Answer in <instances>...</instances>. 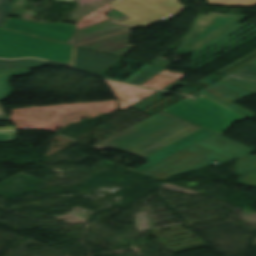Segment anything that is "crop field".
<instances>
[{
  "label": "crop field",
  "mask_w": 256,
  "mask_h": 256,
  "mask_svg": "<svg viewBox=\"0 0 256 256\" xmlns=\"http://www.w3.org/2000/svg\"><path fill=\"white\" fill-rule=\"evenodd\" d=\"M224 79L256 93V75L236 72Z\"/></svg>",
  "instance_id": "obj_17"
},
{
  "label": "crop field",
  "mask_w": 256,
  "mask_h": 256,
  "mask_svg": "<svg viewBox=\"0 0 256 256\" xmlns=\"http://www.w3.org/2000/svg\"><path fill=\"white\" fill-rule=\"evenodd\" d=\"M112 7L132 18L120 23L141 27L175 16L185 8L177 0H114Z\"/></svg>",
  "instance_id": "obj_7"
},
{
  "label": "crop field",
  "mask_w": 256,
  "mask_h": 256,
  "mask_svg": "<svg viewBox=\"0 0 256 256\" xmlns=\"http://www.w3.org/2000/svg\"><path fill=\"white\" fill-rule=\"evenodd\" d=\"M246 17L248 16L231 13H210L209 16L198 14L190 32L184 35L177 52L163 53L151 64L166 67L171 62L160 59L164 54L179 53L186 56Z\"/></svg>",
  "instance_id": "obj_5"
},
{
  "label": "crop field",
  "mask_w": 256,
  "mask_h": 256,
  "mask_svg": "<svg viewBox=\"0 0 256 256\" xmlns=\"http://www.w3.org/2000/svg\"><path fill=\"white\" fill-rule=\"evenodd\" d=\"M182 123L184 121L160 111L93 147L101 151L110 147L128 152Z\"/></svg>",
  "instance_id": "obj_4"
},
{
  "label": "crop field",
  "mask_w": 256,
  "mask_h": 256,
  "mask_svg": "<svg viewBox=\"0 0 256 256\" xmlns=\"http://www.w3.org/2000/svg\"><path fill=\"white\" fill-rule=\"evenodd\" d=\"M30 73L29 69L0 70V101L7 99L12 93L9 79L15 75Z\"/></svg>",
  "instance_id": "obj_16"
},
{
  "label": "crop field",
  "mask_w": 256,
  "mask_h": 256,
  "mask_svg": "<svg viewBox=\"0 0 256 256\" xmlns=\"http://www.w3.org/2000/svg\"><path fill=\"white\" fill-rule=\"evenodd\" d=\"M12 1L13 0H0V27L13 8L11 4Z\"/></svg>",
  "instance_id": "obj_21"
},
{
  "label": "crop field",
  "mask_w": 256,
  "mask_h": 256,
  "mask_svg": "<svg viewBox=\"0 0 256 256\" xmlns=\"http://www.w3.org/2000/svg\"><path fill=\"white\" fill-rule=\"evenodd\" d=\"M213 133L201 128L193 133H191L190 135L180 139L179 141L167 146L166 151H164V149L156 152L155 154L145 158L147 159L148 163L135 169L136 171L140 172L160 161H162L163 159L187 148L188 146L208 137L209 135H211Z\"/></svg>",
  "instance_id": "obj_11"
},
{
  "label": "crop field",
  "mask_w": 256,
  "mask_h": 256,
  "mask_svg": "<svg viewBox=\"0 0 256 256\" xmlns=\"http://www.w3.org/2000/svg\"><path fill=\"white\" fill-rule=\"evenodd\" d=\"M45 63V61H40L36 59H23L15 61L0 60V69L43 67Z\"/></svg>",
  "instance_id": "obj_18"
},
{
  "label": "crop field",
  "mask_w": 256,
  "mask_h": 256,
  "mask_svg": "<svg viewBox=\"0 0 256 256\" xmlns=\"http://www.w3.org/2000/svg\"><path fill=\"white\" fill-rule=\"evenodd\" d=\"M251 64H254V65H256V61L252 62Z\"/></svg>",
  "instance_id": "obj_29"
},
{
  "label": "crop field",
  "mask_w": 256,
  "mask_h": 256,
  "mask_svg": "<svg viewBox=\"0 0 256 256\" xmlns=\"http://www.w3.org/2000/svg\"><path fill=\"white\" fill-rule=\"evenodd\" d=\"M231 102H234L252 92L241 88L235 84H232L224 79L217 81L216 83L205 88Z\"/></svg>",
  "instance_id": "obj_14"
},
{
  "label": "crop field",
  "mask_w": 256,
  "mask_h": 256,
  "mask_svg": "<svg viewBox=\"0 0 256 256\" xmlns=\"http://www.w3.org/2000/svg\"><path fill=\"white\" fill-rule=\"evenodd\" d=\"M75 25L63 23L40 24L8 18L3 28L66 43Z\"/></svg>",
  "instance_id": "obj_8"
},
{
  "label": "crop field",
  "mask_w": 256,
  "mask_h": 256,
  "mask_svg": "<svg viewBox=\"0 0 256 256\" xmlns=\"http://www.w3.org/2000/svg\"><path fill=\"white\" fill-rule=\"evenodd\" d=\"M239 71L256 74V66L250 64Z\"/></svg>",
  "instance_id": "obj_24"
},
{
  "label": "crop field",
  "mask_w": 256,
  "mask_h": 256,
  "mask_svg": "<svg viewBox=\"0 0 256 256\" xmlns=\"http://www.w3.org/2000/svg\"><path fill=\"white\" fill-rule=\"evenodd\" d=\"M119 57L76 47L74 67L99 74Z\"/></svg>",
  "instance_id": "obj_10"
},
{
  "label": "crop field",
  "mask_w": 256,
  "mask_h": 256,
  "mask_svg": "<svg viewBox=\"0 0 256 256\" xmlns=\"http://www.w3.org/2000/svg\"><path fill=\"white\" fill-rule=\"evenodd\" d=\"M199 93L208 97V98H210V99H212V100H214V101H216V102H218V103H220V104H222V105H224V106H226V107H228V108H230V109H232V110H234V111H236V112H238V113H240V114H242V115H244V116H246L249 119L254 118V115H252V114H250V113H248V112H246V111H244V110H242V109H240V108H238V107H236V106H234V105H232V104H230V103H228V102H226V101H224V100H222V99H220V98H218V97H216V96H214V95H212L208 92H206L205 90H203Z\"/></svg>",
  "instance_id": "obj_19"
},
{
  "label": "crop field",
  "mask_w": 256,
  "mask_h": 256,
  "mask_svg": "<svg viewBox=\"0 0 256 256\" xmlns=\"http://www.w3.org/2000/svg\"><path fill=\"white\" fill-rule=\"evenodd\" d=\"M236 174L241 175L237 183L256 187V156L240 158L235 164Z\"/></svg>",
  "instance_id": "obj_13"
},
{
  "label": "crop field",
  "mask_w": 256,
  "mask_h": 256,
  "mask_svg": "<svg viewBox=\"0 0 256 256\" xmlns=\"http://www.w3.org/2000/svg\"><path fill=\"white\" fill-rule=\"evenodd\" d=\"M197 129L199 127L186 122L129 153L145 158Z\"/></svg>",
  "instance_id": "obj_9"
},
{
  "label": "crop field",
  "mask_w": 256,
  "mask_h": 256,
  "mask_svg": "<svg viewBox=\"0 0 256 256\" xmlns=\"http://www.w3.org/2000/svg\"><path fill=\"white\" fill-rule=\"evenodd\" d=\"M4 129H15L14 126H10V127H0V130H4Z\"/></svg>",
  "instance_id": "obj_26"
},
{
  "label": "crop field",
  "mask_w": 256,
  "mask_h": 256,
  "mask_svg": "<svg viewBox=\"0 0 256 256\" xmlns=\"http://www.w3.org/2000/svg\"><path fill=\"white\" fill-rule=\"evenodd\" d=\"M162 67H156V66H152L151 68H149L147 71H145L143 74H141L139 77H137L133 82H131L132 84H140L141 82H143L144 80H146L147 78H149L150 76H152L153 74H155L156 72H158L159 70H161ZM163 70V69H162Z\"/></svg>",
  "instance_id": "obj_22"
},
{
  "label": "crop field",
  "mask_w": 256,
  "mask_h": 256,
  "mask_svg": "<svg viewBox=\"0 0 256 256\" xmlns=\"http://www.w3.org/2000/svg\"><path fill=\"white\" fill-rule=\"evenodd\" d=\"M252 152L254 151L249 148L214 134L142 173L165 178L203 167L213 161L221 162L240 158Z\"/></svg>",
  "instance_id": "obj_1"
},
{
  "label": "crop field",
  "mask_w": 256,
  "mask_h": 256,
  "mask_svg": "<svg viewBox=\"0 0 256 256\" xmlns=\"http://www.w3.org/2000/svg\"><path fill=\"white\" fill-rule=\"evenodd\" d=\"M9 120L8 116H0V121Z\"/></svg>",
  "instance_id": "obj_25"
},
{
  "label": "crop field",
  "mask_w": 256,
  "mask_h": 256,
  "mask_svg": "<svg viewBox=\"0 0 256 256\" xmlns=\"http://www.w3.org/2000/svg\"><path fill=\"white\" fill-rule=\"evenodd\" d=\"M107 81V80H106ZM113 89L118 101L119 109L124 110L139 101L156 93V91L136 88L131 85L107 81Z\"/></svg>",
  "instance_id": "obj_12"
},
{
  "label": "crop field",
  "mask_w": 256,
  "mask_h": 256,
  "mask_svg": "<svg viewBox=\"0 0 256 256\" xmlns=\"http://www.w3.org/2000/svg\"><path fill=\"white\" fill-rule=\"evenodd\" d=\"M16 139V131L0 132V142H14Z\"/></svg>",
  "instance_id": "obj_23"
},
{
  "label": "crop field",
  "mask_w": 256,
  "mask_h": 256,
  "mask_svg": "<svg viewBox=\"0 0 256 256\" xmlns=\"http://www.w3.org/2000/svg\"><path fill=\"white\" fill-rule=\"evenodd\" d=\"M73 46L3 30L0 58L38 57L71 65Z\"/></svg>",
  "instance_id": "obj_2"
},
{
  "label": "crop field",
  "mask_w": 256,
  "mask_h": 256,
  "mask_svg": "<svg viewBox=\"0 0 256 256\" xmlns=\"http://www.w3.org/2000/svg\"><path fill=\"white\" fill-rule=\"evenodd\" d=\"M107 17L112 21L78 30L75 45L136 27L117 23L130 18L112 7ZM130 38L131 34L129 31L77 46L122 56L133 48V46L129 44Z\"/></svg>",
  "instance_id": "obj_3"
},
{
  "label": "crop field",
  "mask_w": 256,
  "mask_h": 256,
  "mask_svg": "<svg viewBox=\"0 0 256 256\" xmlns=\"http://www.w3.org/2000/svg\"><path fill=\"white\" fill-rule=\"evenodd\" d=\"M186 75L187 74H183V73H179L176 71L166 69L163 72L156 75L155 77L148 80L147 82L143 83L142 86L161 89V88L183 78Z\"/></svg>",
  "instance_id": "obj_15"
},
{
  "label": "crop field",
  "mask_w": 256,
  "mask_h": 256,
  "mask_svg": "<svg viewBox=\"0 0 256 256\" xmlns=\"http://www.w3.org/2000/svg\"><path fill=\"white\" fill-rule=\"evenodd\" d=\"M209 4L253 7L256 0H208Z\"/></svg>",
  "instance_id": "obj_20"
},
{
  "label": "crop field",
  "mask_w": 256,
  "mask_h": 256,
  "mask_svg": "<svg viewBox=\"0 0 256 256\" xmlns=\"http://www.w3.org/2000/svg\"><path fill=\"white\" fill-rule=\"evenodd\" d=\"M165 111L219 134L226 130L234 121L244 118V116L203 96L193 103L183 99L165 109Z\"/></svg>",
  "instance_id": "obj_6"
},
{
  "label": "crop field",
  "mask_w": 256,
  "mask_h": 256,
  "mask_svg": "<svg viewBox=\"0 0 256 256\" xmlns=\"http://www.w3.org/2000/svg\"><path fill=\"white\" fill-rule=\"evenodd\" d=\"M58 1H72V0H55V2H58Z\"/></svg>",
  "instance_id": "obj_28"
},
{
  "label": "crop field",
  "mask_w": 256,
  "mask_h": 256,
  "mask_svg": "<svg viewBox=\"0 0 256 256\" xmlns=\"http://www.w3.org/2000/svg\"><path fill=\"white\" fill-rule=\"evenodd\" d=\"M0 115H5V113H4V111H3L2 107H1V105H0Z\"/></svg>",
  "instance_id": "obj_27"
}]
</instances>
